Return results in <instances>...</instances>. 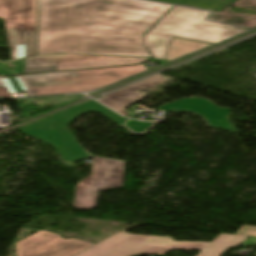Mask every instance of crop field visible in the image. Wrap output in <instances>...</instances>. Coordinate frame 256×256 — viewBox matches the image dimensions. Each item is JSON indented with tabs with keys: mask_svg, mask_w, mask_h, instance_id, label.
Masks as SVG:
<instances>
[{
	"mask_svg": "<svg viewBox=\"0 0 256 256\" xmlns=\"http://www.w3.org/2000/svg\"><path fill=\"white\" fill-rule=\"evenodd\" d=\"M90 0H39L38 54L151 57L143 32L87 23Z\"/></svg>",
	"mask_w": 256,
	"mask_h": 256,
	"instance_id": "crop-field-1",
	"label": "crop field"
},
{
	"mask_svg": "<svg viewBox=\"0 0 256 256\" xmlns=\"http://www.w3.org/2000/svg\"><path fill=\"white\" fill-rule=\"evenodd\" d=\"M4 23L12 60L22 57L24 59L11 63H0V75L131 65L149 60L144 58L70 54L37 57V28L6 20H4ZM8 64L14 67H8Z\"/></svg>",
	"mask_w": 256,
	"mask_h": 256,
	"instance_id": "crop-field-2",
	"label": "crop field"
},
{
	"mask_svg": "<svg viewBox=\"0 0 256 256\" xmlns=\"http://www.w3.org/2000/svg\"><path fill=\"white\" fill-rule=\"evenodd\" d=\"M248 237L220 234L213 242H178L166 237L129 234L120 231L75 256L162 255L170 250H202L197 256H220Z\"/></svg>",
	"mask_w": 256,
	"mask_h": 256,
	"instance_id": "crop-field-3",
	"label": "crop field"
},
{
	"mask_svg": "<svg viewBox=\"0 0 256 256\" xmlns=\"http://www.w3.org/2000/svg\"><path fill=\"white\" fill-rule=\"evenodd\" d=\"M147 71L144 66H122L45 74L14 76L27 96L85 92L101 88ZM0 86L15 93L7 77H0ZM8 91V92H9Z\"/></svg>",
	"mask_w": 256,
	"mask_h": 256,
	"instance_id": "crop-field-4",
	"label": "crop field"
},
{
	"mask_svg": "<svg viewBox=\"0 0 256 256\" xmlns=\"http://www.w3.org/2000/svg\"><path fill=\"white\" fill-rule=\"evenodd\" d=\"M90 111H98L121 125L127 120L103 105L91 100L19 130L22 133H26L50 145H54L64 161H76L89 158L90 156L71 135L66 125L79 115Z\"/></svg>",
	"mask_w": 256,
	"mask_h": 256,
	"instance_id": "crop-field-5",
	"label": "crop field"
},
{
	"mask_svg": "<svg viewBox=\"0 0 256 256\" xmlns=\"http://www.w3.org/2000/svg\"><path fill=\"white\" fill-rule=\"evenodd\" d=\"M170 7L142 0H93L90 21L147 31Z\"/></svg>",
	"mask_w": 256,
	"mask_h": 256,
	"instance_id": "crop-field-6",
	"label": "crop field"
},
{
	"mask_svg": "<svg viewBox=\"0 0 256 256\" xmlns=\"http://www.w3.org/2000/svg\"><path fill=\"white\" fill-rule=\"evenodd\" d=\"M209 12L175 6L150 31L216 43L243 32L233 26L204 21Z\"/></svg>",
	"mask_w": 256,
	"mask_h": 256,
	"instance_id": "crop-field-7",
	"label": "crop field"
},
{
	"mask_svg": "<svg viewBox=\"0 0 256 256\" xmlns=\"http://www.w3.org/2000/svg\"><path fill=\"white\" fill-rule=\"evenodd\" d=\"M124 161L95 157L92 173L77 185L74 207L96 208L98 191L122 187Z\"/></svg>",
	"mask_w": 256,
	"mask_h": 256,
	"instance_id": "crop-field-8",
	"label": "crop field"
},
{
	"mask_svg": "<svg viewBox=\"0 0 256 256\" xmlns=\"http://www.w3.org/2000/svg\"><path fill=\"white\" fill-rule=\"evenodd\" d=\"M95 243L62 239L59 234L40 230L15 243L17 256H73Z\"/></svg>",
	"mask_w": 256,
	"mask_h": 256,
	"instance_id": "crop-field-9",
	"label": "crop field"
},
{
	"mask_svg": "<svg viewBox=\"0 0 256 256\" xmlns=\"http://www.w3.org/2000/svg\"><path fill=\"white\" fill-rule=\"evenodd\" d=\"M159 110L169 112H191L206 120L211 128H223L228 132L237 133L229 123V108H221L211 101L202 98L181 99L179 101L164 105Z\"/></svg>",
	"mask_w": 256,
	"mask_h": 256,
	"instance_id": "crop-field-10",
	"label": "crop field"
},
{
	"mask_svg": "<svg viewBox=\"0 0 256 256\" xmlns=\"http://www.w3.org/2000/svg\"><path fill=\"white\" fill-rule=\"evenodd\" d=\"M161 84H165V81L162 75L158 74L115 92L109 93L105 95V97L99 102L126 116L128 114L125 109L135 101L143 98L138 91Z\"/></svg>",
	"mask_w": 256,
	"mask_h": 256,
	"instance_id": "crop-field-11",
	"label": "crop field"
},
{
	"mask_svg": "<svg viewBox=\"0 0 256 256\" xmlns=\"http://www.w3.org/2000/svg\"><path fill=\"white\" fill-rule=\"evenodd\" d=\"M0 17L37 27V0H0Z\"/></svg>",
	"mask_w": 256,
	"mask_h": 256,
	"instance_id": "crop-field-12",
	"label": "crop field"
},
{
	"mask_svg": "<svg viewBox=\"0 0 256 256\" xmlns=\"http://www.w3.org/2000/svg\"><path fill=\"white\" fill-rule=\"evenodd\" d=\"M208 45L209 44H203V43L173 38L164 60L166 61L172 60L174 58L194 52Z\"/></svg>",
	"mask_w": 256,
	"mask_h": 256,
	"instance_id": "crop-field-13",
	"label": "crop field"
},
{
	"mask_svg": "<svg viewBox=\"0 0 256 256\" xmlns=\"http://www.w3.org/2000/svg\"><path fill=\"white\" fill-rule=\"evenodd\" d=\"M172 38L148 33L145 45L150 49L154 58L163 60Z\"/></svg>",
	"mask_w": 256,
	"mask_h": 256,
	"instance_id": "crop-field-14",
	"label": "crop field"
},
{
	"mask_svg": "<svg viewBox=\"0 0 256 256\" xmlns=\"http://www.w3.org/2000/svg\"><path fill=\"white\" fill-rule=\"evenodd\" d=\"M153 1H159V2H165V3H180L184 5L189 6H195V7H202V8H208L211 10H222L227 4L231 3L233 0H153Z\"/></svg>",
	"mask_w": 256,
	"mask_h": 256,
	"instance_id": "crop-field-15",
	"label": "crop field"
},
{
	"mask_svg": "<svg viewBox=\"0 0 256 256\" xmlns=\"http://www.w3.org/2000/svg\"><path fill=\"white\" fill-rule=\"evenodd\" d=\"M157 122L158 121H153V122H150V123H145V122L129 120L124 125V127H126L132 134L143 135L150 128H152Z\"/></svg>",
	"mask_w": 256,
	"mask_h": 256,
	"instance_id": "crop-field-16",
	"label": "crop field"
},
{
	"mask_svg": "<svg viewBox=\"0 0 256 256\" xmlns=\"http://www.w3.org/2000/svg\"><path fill=\"white\" fill-rule=\"evenodd\" d=\"M236 234L256 237V227L243 225Z\"/></svg>",
	"mask_w": 256,
	"mask_h": 256,
	"instance_id": "crop-field-17",
	"label": "crop field"
},
{
	"mask_svg": "<svg viewBox=\"0 0 256 256\" xmlns=\"http://www.w3.org/2000/svg\"><path fill=\"white\" fill-rule=\"evenodd\" d=\"M91 4H92V0H91ZM90 12H91V7H90ZM89 18H90V15H89ZM89 22V21H88ZM92 23V22H91ZM98 24V23H97ZM104 25V24H103ZM144 32V31H143Z\"/></svg>",
	"mask_w": 256,
	"mask_h": 256,
	"instance_id": "crop-field-18",
	"label": "crop field"
},
{
	"mask_svg": "<svg viewBox=\"0 0 256 256\" xmlns=\"http://www.w3.org/2000/svg\"><path fill=\"white\" fill-rule=\"evenodd\" d=\"M166 36V35H165ZM171 37V36H170Z\"/></svg>",
	"mask_w": 256,
	"mask_h": 256,
	"instance_id": "crop-field-19",
	"label": "crop field"
}]
</instances>
